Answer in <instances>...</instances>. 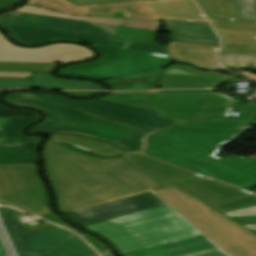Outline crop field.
Returning <instances> with one entry per match:
<instances>
[{"instance_id": "obj_9", "label": "crop field", "mask_w": 256, "mask_h": 256, "mask_svg": "<svg viewBox=\"0 0 256 256\" xmlns=\"http://www.w3.org/2000/svg\"><path fill=\"white\" fill-rule=\"evenodd\" d=\"M90 45L102 53L100 59L62 68L58 73L101 80L150 71L172 63L170 57Z\"/></svg>"}, {"instance_id": "obj_37", "label": "crop field", "mask_w": 256, "mask_h": 256, "mask_svg": "<svg viewBox=\"0 0 256 256\" xmlns=\"http://www.w3.org/2000/svg\"><path fill=\"white\" fill-rule=\"evenodd\" d=\"M64 93L74 95V96H90L97 92H64Z\"/></svg>"}, {"instance_id": "obj_7", "label": "crop field", "mask_w": 256, "mask_h": 256, "mask_svg": "<svg viewBox=\"0 0 256 256\" xmlns=\"http://www.w3.org/2000/svg\"><path fill=\"white\" fill-rule=\"evenodd\" d=\"M213 26L256 30V0H197ZM221 64L256 70V47L222 45Z\"/></svg>"}, {"instance_id": "obj_18", "label": "crop field", "mask_w": 256, "mask_h": 256, "mask_svg": "<svg viewBox=\"0 0 256 256\" xmlns=\"http://www.w3.org/2000/svg\"><path fill=\"white\" fill-rule=\"evenodd\" d=\"M192 165V164H191ZM200 173L235 184L243 188L256 185V159L215 157L206 167L192 165Z\"/></svg>"}, {"instance_id": "obj_42", "label": "crop field", "mask_w": 256, "mask_h": 256, "mask_svg": "<svg viewBox=\"0 0 256 256\" xmlns=\"http://www.w3.org/2000/svg\"><path fill=\"white\" fill-rule=\"evenodd\" d=\"M246 126H256V122H247Z\"/></svg>"}, {"instance_id": "obj_41", "label": "crop field", "mask_w": 256, "mask_h": 256, "mask_svg": "<svg viewBox=\"0 0 256 256\" xmlns=\"http://www.w3.org/2000/svg\"><path fill=\"white\" fill-rule=\"evenodd\" d=\"M185 168H188V169H191V170H195V171H197L196 169H194L190 164H186L185 165Z\"/></svg>"}, {"instance_id": "obj_26", "label": "crop field", "mask_w": 256, "mask_h": 256, "mask_svg": "<svg viewBox=\"0 0 256 256\" xmlns=\"http://www.w3.org/2000/svg\"><path fill=\"white\" fill-rule=\"evenodd\" d=\"M48 255L52 256H98L87 244L76 235L57 247Z\"/></svg>"}, {"instance_id": "obj_47", "label": "crop field", "mask_w": 256, "mask_h": 256, "mask_svg": "<svg viewBox=\"0 0 256 256\" xmlns=\"http://www.w3.org/2000/svg\"><path fill=\"white\" fill-rule=\"evenodd\" d=\"M21 256H38V255H26V254H20Z\"/></svg>"}, {"instance_id": "obj_17", "label": "crop field", "mask_w": 256, "mask_h": 256, "mask_svg": "<svg viewBox=\"0 0 256 256\" xmlns=\"http://www.w3.org/2000/svg\"><path fill=\"white\" fill-rule=\"evenodd\" d=\"M0 210L20 253L45 255L74 234L60 227L25 234L13 217V209L3 207Z\"/></svg>"}, {"instance_id": "obj_20", "label": "crop field", "mask_w": 256, "mask_h": 256, "mask_svg": "<svg viewBox=\"0 0 256 256\" xmlns=\"http://www.w3.org/2000/svg\"><path fill=\"white\" fill-rule=\"evenodd\" d=\"M124 256H227L203 235Z\"/></svg>"}, {"instance_id": "obj_13", "label": "crop field", "mask_w": 256, "mask_h": 256, "mask_svg": "<svg viewBox=\"0 0 256 256\" xmlns=\"http://www.w3.org/2000/svg\"><path fill=\"white\" fill-rule=\"evenodd\" d=\"M160 18L206 21L192 0L151 1ZM89 16L155 20L147 1L92 6Z\"/></svg>"}, {"instance_id": "obj_27", "label": "crop field", "mask_w": 256, "mask_h": 256, "mask_svg": "<svg viewBox=\"0 0 256 256\" xmlns=\"http://www.w3.org/2000/svg\"><path fill=\"white\" fill-rule=\"evenodd\" d=\"M33 148H0V164L33 161Z\"/></svg>"}, {"instance_id": "obj_19", "label": "crop field", "mask_w": 256, "mask_h": 256, "mask_svg": "<svg viewBox=\"0 0 256 256\" xmlns=\"http://www.w3.org/2000/svg\"><path fill=\"white\" fill-rule=\"evenodd\" d=\"M228 79L226 75L202 73L182 65H173L164 70L159 86L161 89L215 88Z\"/></svg>"}, {"instance_id": "obj_1", "label": "crop field", "mask_w": 256, "mask_h": 256, "mask_svg": "<svg viewBox=\"0 0 256 256\" xmlns=\"http://www.w3.org/2000/svg\"><path fill=\"white\" fill-rule=\"evenodd\" d=\"M43 157L63 214L161 188L121 157L103 159L50 141Z\"/></svg>"}, {"instance_id": "obj_38", "label": "crop field", "mask_w": 256, "mask_h": 256, "mask_svg": "<svg viewBox=\"0 0 256 256\" xmlns=\"http://www.w3.org/2000/svg\"><path fill=\"white\" fill-rule=\"evenodd\" d=\"M236 72H238V73H240V74H243V75H245V76H247V77H249V78H252V79L256 80V76H255V75H252V74H249V73H245V72H242V71H236Z\"/></svg>"}, {"instance_id": "obj_46", "label": "crop field", "mask_w": 256, "mask_h": 256, "mask_svg": "<svg viewBox=\"0 0 256 256\" xmlns=\"http://www.w3.org/2000/svg\"><path fill=\"white\" fill-rule=\"evenodd\" d=\"M149 3H150V2H149ZM150 5H151V4H150ZM151 7H152V6H151ZM152 10H153V8H152ZM153 13H154L156 19H160V18H158V17L156 16L154 10H153ZM165 20H167V19H165ZM190 22H193V21H190Z\"/></svg>"}, {"instance_id": "obj_5", "label": "crop field", "mask_w": 256, "mask_h": 256, "mask_svg": "<svg viewBox=\"0 0 256 256\" xmlns=\"http://www.w3.org/2000/svg\"><path fill=\"white\" fill-rule=\"evenodd\" d=\"M231 256H256V235L178 187L154 191Z\"/></svg>"}, {"instance_id": "obj_8", "label": "crop field", "mask_w": 256, "mask_h": 256, "mask_svg": "<svg viewBox=\"0 0 256 256\" xmlns=\"http://www.w3.org/2000/svg\"><path fill=\"white\" fill-rule=\"evenodd\" d=\"M122 156L161 187L175 184L209 205L253 194L143 155L123 153Z\"/></svg>"}, {"instance_id": "obj_11", "label": "crop field", "mask_w": 256, "mask_h": 256, "mask_svg": "<svg viewBox=\"0 0 256 256\" xmlns=\"http://www.w3.org/2000/svg\"><path fill=\"white\" fill-rule=\"evenodd\" d=\"M0 204L36 216L45 213L46 191L33 163L0 165Z\"/></svg>"}, {"instance_id": "obj_14", "label": "crop field", "mask_w": 256, "mask_h": 256, "mask_svg": "<svg viewBox=\"0 0 256 256\" xmlns=\"http://www.w3.org/2000/svg\"><path fill=\"white\" fill-rule=\"evenodd\" d=\"M44 99H48L57 103H61L70 107L84 110L90 113L98 114L117 121H121L133 126H137L153 132H159L168 125L172 124L156 115V112L128 107L124 105L99 101V100H69L61 96L50 94H33ZM162 128L161 130L157 129Z\"/></svg>"}, {"instance_id": "obj_44", "label": "crop field", "mask_w": 256, "mask_h": 256, "mask_svg": "<svg viewBox=\"0 0 256 256\" xmlns=\"http://www.w3.org/2000/svg\"><path fill=\"white\" fill-rule=\"evenodd\" d=\"M173 147L181 148L182 145L179 144H172Z\"/></svg>"}, {"instance_id": "obj_40", "label": "crop field", "mask_w": 256, "mask_h": 256, "mask_svg": "<svg viewBox=\"0 0 256 256\" xmlns=\"http://www.w3.org/2000/svg\"><path fill=\"white\" fill-rule=\"evenodd\" d=\"M0 256H6L0 243Z\"/></svg>"}, {"instance_id": "obj_22", "label": "crop field", "mask_w": 256, "mask_h": 256, "mask_svg": "<svg viewBox=\"0 0 256 256\" xmlns=\"http://www.w3.org/2000/svg\"><path fill=\"white\" fill-rule=\"evenodd\" d=\"M36 119H0V147L35 146L39 139L25 138L19 134V130Z\"/></svg>"}, {"instance_id": "obj_29", "label": "crop field", "mask_w": 256, "mask_h": 256, "mask_svg": "<svg viewBox=\"0 0 256 256\" xmlns=\"http://www.w3.org/2000/svg\"><path fill=\"white\" fill-rule=\"evenodd\" d=\"M58 64L0 63V71L50 72Z\"/></svg>"}, {"instance_id": "obj_12", "label": "crop field", "mask_w": 256, "mask_h": 256, "mask_svg": "<svg viewBox=\"0 0 256 256\" xmlns=\"http://www.w3.org/2000/svg\"><path fill=\"white\" fill-rule=\"evenodd\" d=\"M16 12L70 18L115 26L160 31L157 29L159 27L157 21L72 16L29 5L22 7ZM163 22L166 28V30L164 31L170 33V41L219 46V40L217 39L216 35L212 31L208 23L173 22L164 20Z\"/></svg>"}, {"instance_id": "obj_28", "label": "crop field", "mask_w": 256, "mask_h": 256, "mask_svg": "<svg viewBox=\"0 0 256 256\" xmlns=\"http://www.w3.org/2000/svg\"><path fill=\"white\" fill-rule=\"evenodd\" d=\"M156 33L154 31L119 27L114 37L154 43Z\"/></svg>"}, {"instance_id": "obj_4", "label": "crop field", "mask_w": 256, "mask_h": 256, "mask_svg": "<svg viewBox=\"0 0 256 256\" xmlns=\"http://www.w3.org/2000/svg\"><path fill=\"white\" fill-rule=\"evenodd\" d=\"M83 228L104 236L121 255L201 235L167 205Z\"/></svg>"}, {"instance_id": "obj_24", "label": "crop field", "mask_w": 256, "mask_h": 256, "mask_svg": "<svg viewBox=\"0 0 256 256\" xmlns=\"http://www.w3.org/2000/svg\"><path fill=\"white\" fill-rule=\"evenodd\" d=\"M245 124L246 122L197 124L173 123L169 127L165 128L164 131L242 134L245 130H241V126H245Z\"/></svg>"}, {"instance_id": "obj_49", "label": "crop field", "mask_w": 256, "mask_h": 256, "mask_svg": "<svg viewBox=\"0 0 256 256\" xmlns=\"http://www.w3.org/2000/svg\"><path fill=\"white\" fill-rule=\"evenodd\" d=\"M155 92H157V91H155ZM130 93H135V92H130Z\"/></svg>"}, {"instance_id": "obj_31", "label": "crop field", "mask_w": 256, "mask_h": 256, "mask_svg": "<svg viewBox=\"0 0 256 256\" xmlns=\"http://www.w3.org/2000/svg\"><path fill=\"white\" fill-rule=\"evenodd\" d=\"M230 121H256V112H251L247 120L243 119H202V120H192L182 123H197V122H230Z\"/></svg>"}, {"instance_id": "obj_48", "label": "crop field", "mask_w": 256, "mask_h": 256, "mask_svg": "<svg viewBox=\"0 0 256 256\" xmlns=\"http://www.w3.org/2000/svg\"><path fill=\"white\" fill-rule=\"evenodd\" d=\"M147 154V153H146ZM148 155H150V154H148ZM151 156H153V155H151ZM154 157H156V156H154ZM157 158H159V157H157ZM160 159H162V158H160ZM163 160H165V159H163ZM166 161H168V160H166ZM169 162H171V161H169ZM171 163H174V162H171ZM175 164V163H174Z\"/></svg>"}, {"instance_id": "obj_50", "label": "crop field", "mask_w": 256, "mask_h": 256, "mask_svg": "<svg viewBox=\"0 0 256 256\" xmlns=\"http://www.w3.org/2000/svg\"><path fill=\"white\" fill-rule=\"evenodd\" d=\"M256 191V190H255ZM256 193V192H255Z\"/></svg>"}, {"instance_id": "obj_36", "label": "crop field", "mask_w": 256, "mask_h": 256, "mask_svg": "<svg viewBox=\"0 0 256 256\" xmlns=\"http://www.w3.org/2000/svg\"><path fill=\"white\" fill-rule=\"evenodd\" d=\"M171 59H172V61L185 62V61H182V60H180V59H178V58H175V57H171ZM185 63H188V64H190V65H192V66H195V67L201 68V69L224 71V69L202 68V67H200V66H198V65H195V64H192V63H189V62H185Z\"/></svg>"}, {"instance_id": "obj_23", "label": "crop field", "mask_w": 256, "mask_h": 256, "mask_svg": "<svg viewBox=\"0 0 256 256\" xmlns=\"http://www.w3.org/2000/svg\"><path fill=\"white\" fill-rule=\"evenodd\" d=\"M162 71V69H159L127 77L115 78L106 82L112 87V90L155 89L159 84Z\"/></svg>"}, {"instance_id": "obj_32", "label": "crop field", "mask_w": 256, "mask_h": 256, "mask_svg": "<svg viewBox=\"0 0 256 256\" xmlns=\"http://www.w3.org/2000/svg\"><path fill=\"white\" fill-rule=\"evenodd\" d=\"M78 5H98V4H106V3H116V2H128V1H140V0H69Z\"/></svg>"}, {"instance_id": "obj_34", "label": "crop field", "mask_w": 256, "mask_h": 256, "mask_svg": "<svg viewBox=\"0 0 256 256\" xmlns=\"http://www.w3.org/2000/svg\"><path fill=\"white\" fill-rule=\"evenodd\" d=\"M19 2L20 0H0V10L11 8Z\"/></svg>"}, {"instance_id": "obj_16", "label": "crop field", "mask_w": 256, "mask_h": 256, "mask_svg": "<svg viewBox=\"0 0 256 256\" xmlns=\"http://www.w3.org/2000/svg\"><path fill=\"white\" fill-rule=\"evenodd\" d=\"M161 205H165V203L149 192L120 201L72 212L65 214V216L75 224L83 227Z\"/></svg>"}, {"instance_id": "obj_21", "label": "crop field", "mask_w": 256, "mask_h": 256, "mask_svg": "<svg viewBox=\"0 0 256 256\" xmlns=\"http://www.w3.org/2000/svg\"><path fill=\"white\" fill-rule=\"evenodd\" d=\"M169 48L171 55L200 65L217 67L215 60L218 47L170 42Z\"/></svg>"}, {"instance_id": "obj_39", "label": "crop field", "mask_w": 256, "mask_h": 256, "mask_svg": "<svg viewBox=\"0 0 256 256\" xmlns=\"http://www.w3.org/2000/svg\"><path fill=\"white\" fill-rule=\"evenodd\" d=\"M158 92H213V91H158Z\"/></svg>"}, {"instance_id": "obj_3", "label": "crop field", "mask_w": 256, "mask_h": 256, "mask_svg": "<svg viewBox=\"0 0 256 256\" xmlns=\"http://www.w3.org/2000/svg\"><path fill=\"white\" fill-rule=\"evenodd\" d=\"M6 102L42 110L47 119L29 131L47 130L50 133H74L102 139L123 148L141 153L145 137L153 132L133 127L98 115L90 114L26 93L5 96Z\"/></svg>"}, {"instance_id": "obj_45", "label": "crop field", "mask_w": 256, "mask_h": 256, "mask_svg": "<svg viewBox=\"0 0 256 256\" xmlns=\"http://www.w3.org/2000/svg\"><path fill=\"white\" fill-rule=\"evenodd\" d=\"M186 120H191V119H183V120L175 121V123H180V122L186 121Z\"/></svg>"}, {"instance_id": "obj_2", "label": "crop field", "mask_w": 256, "mask_h": 256, "mask_svg": "<svg viewBox=\"0 0 256 256\" xmlns=\"http://www.w3.org/2000/svg\"><path fill=\"white\" fill-rule=\"evenodd\" d=\"M0 26L25 45L70 40L167 56L166 46L112 39L115 26L16 12L1 15Z\"/></svg>"}, {"instance_id": "obj_10", "label": "crop field", "mask_w": 256, "mask_h": 256, "mask_svg": "<svg viewBox=\"0 0 256 256\" xmlns=\"http://www.w3.org/2000/svg\"><path fill=\"white\" fill-rule=\"evenodd\" d=\"M236 135L159 132L149 140L147 153L176 162L206 166L218 151V146L232 140ZM171 143L184 144L181 149L171 147Z\"/></svg>"}, {"instance_id": "obj_30", "label": "crop field", "mask_w": 256, "mask_h": 256, "mask_svg": "<svg viewBox=\"0 0 256 256\" xmlns=\"http://www.w3.org/2000/svg\"><path fill=\"white\" fill-rule=\"evenodd\" d=\"M26 116H39L38 113L27 110H16L5 107L0 104V117H26Z\"/></svg>"}, {"instance_id": "obj_43", "label": "crop field", "mask_w": 256, "mask_h": 256, "mask_svg": "<svg viewBox=\"0 0 256 256\" xmlns=\"http://www.w3.org/2000/svg\"><path fill=\"white\" fill-rule=\"evenodd\" d=\"M229 74H231V75H232V78H243V77H241V76L234 75V74H232V73H229Z\"/></svg>"}, {"instance_id": "obj_35", "label": "crop field", "mask_w": 256, "mask_h": 256, "mask_svg": "<svg viewBox=\"0 0 256 256\" xmlns=\"http://www.w3.org/2000/svg\"><path fill=\"white\" fill-rule=\"evenodd\" d=\"M88 242H90L98 251L105 250L106 248L102 246L98 241H96L94 238L85 235L83 236Z\"/></svg>"}, {"instance_id": "obj_25", "label": "crop field", "mask_w": 256, "mask_h": 256, "mask_svg": "<svg viewBox=\"0 0 256 256\" xmlns=\"http://www.w3.org/2000/svg\"><path fill=\"white\" fill-rule=\"evenodd\" d=\"M55 141L57 142H66L70 143L75 147L86 149L92 153L109 157L119 155L121 151L117 148L109 146L107 144L92 141L87 138L78 137V136H66V135H59V136H52Z\"/></svg>"}, {"instance_id": "obj_33", "label": "crop field", "mask_w": 256, "mask_h": 256, "mask_svg": "<svg viewBox=\"0 0 256 256\" xmlns=\"http://www.w3.org/2000/svg\"><path fill=\"white\" fill-rule=\"evenodd\" d=\"M42 218L47 219V220H49V221H51V222H54V223H56V224H59V225H61V226L67 227V228H69V229H72V230H74V231L77 232V233L80 232V231H78V230H76V229H74V228H72V227L66 225L65 223H63L61 220H59L57 217H55V216L52 215V214H46V215L42 216Z\"/></svg>"}, {"instance_id": "obj_15", "label": "crop field", "mask_w": 256, "mask_h": 256, "mask_svg": "<svg viewBox=\"0 0 256 256\" xmlns=\"http://www.w3.org/2000/svg\"><path fill=\"white\" fill-rule=\"evenodd\" d=\"M84 47L72 44H56L36 49L18 48L0 35V61L66 63L92 57Z\"/></svg>"}, {"instance_id": "obj_6", "label": "crop field", "mask_w": 256, "mask_h": 256, "mask_svg": "<svg viewBox=\"0 0 256 256\" xmlns=\"http://www.w3.org/2000/svg\"><path fill=\"white\" fill-rule=\"evenodd\" d=\"M99 100L153 110L168 120L182 118H228L234 100L217 93L109 94Z\"/></svg>"}]
</instances>
